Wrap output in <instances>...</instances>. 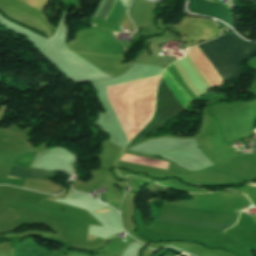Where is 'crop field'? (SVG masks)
Returning <instances> with one entry per match:
<instances>
[{
  "label": "crop field",
  "instance_id": "crop-field-7",
  "mask_svg": "<svg viewBox=\"0 0 256 256\" xmlns=\"http://www.w3.org/2000/svg\"><path fill=\"white\" fill-rule=\"evenodd\" d=\"M99 212H104V211H99Z\"/></svg>",
  "mask_w": 256,
  "mask_h": 256
},
{
  "label": "crop field",
  "instance_id": "crop-field-2",
  "mask_svg": "<svg viewBox=\"0 0 256 256\" xmlns=\"http://www.w3.org/2000/svg\"><path fill=\"white\" fill-rule=\"evenodd\" d=\"M208 1H211V0H208ZM208 1L191 0L190 10L195 13L210 15V16L219 18L225 21L227 24H229L232 27V19H231L230 11L220 6L217 3H210Z\"/></svg>",
  "mask_w": 256,
  "mask_h": 256
},
{
  "label": "crop field",
  "instance_id": "crop-field-1",
  "mask_svg": "<svg viewBox=\"0 0 256 256\" xmlns=\"http://www.w3.org/2000/svg\"><path fill=\"white\" fill-rule=\"evenodd\" d=\"M198 47L223 81L243 75L245 70L241 63L249 61L256 55V45L240 39L234 32L221 34L217 39L198 45ZM157 90V105L153 118L127 146L145 138V135L151 132L157 133L167 121L184 111L162 80Z\"/></svg>",
  "mask_w": 256,
  "mask_h": 256
},
{
  "label": "crop field",
  "instance_id": "crop-field-6",
  "mask_svg": "<svg viewBox=\"0 0 256 256\" xmlns=\"http://www.w3.org/2000/svg\"><path fill=\"white\" fill-rule=\"evenodd\" d=\"M14 256H40L36 249H12Z\"/></svg>",
  "mask_w": 256,
  "mask_h": 256
},
{
  "label": "crop field",
  "instance_id": "crop-field-3",
  "mask_svg": "<svg viewBox=\"0 0 256 256\" xmlns=\"http://www.w3.org/2000/svg\"><path fill=\"white\" fill-rule=\"evenodd\" d=\"M57 176L55 173L42 171L32 168H22V167H10V172L8 177L16 178H32V179H48Z\"/></svg>",
  "mask_w": 256,
  "mask_h": 256
},
{
  "label": "crop field",
  "instance_id": "crop-field-4",
  "mask_svg": "<svg viewBox=\"0 0 256 256\" xmlns=\"http://www.w3.org/2000/svg\"><path fill=\"white\" fill-rule=\"evenodd\" d=\"M156 220H160V221L167 222V223H172V224L203 227V228H211V229H219V230H225V229L232 226V225H228V224L200 222V221H193V220L166 217V216H161V215H158Z\"/></svg>",
  "mask_w": 256,
  "mask_h": 256
},
{
  "label": "crop field",
  "instance_id": "crop-field-5",
  "mask_svg": "<svg viewBox=\"0 0 256 256\" xmlns=\"http://www.w3.org/2000/svg\"><path fill=\"white\" fill-rule=\"evenodd\" d=\"M118 1L119 0H117V4H118ZM115 4H116V0H106L105 5H104L102 11L98 15V18L107 21V19L110 17V15H111V13L113 11V8H114ZM117 4H116V6H117ZM115 9H116V7H115ZM115 9H114V11H115ZM109 19H108V21H109Z\"/></svg>",
  "mask_w": 256,
  "mask_h": 256
}]
</instances>
